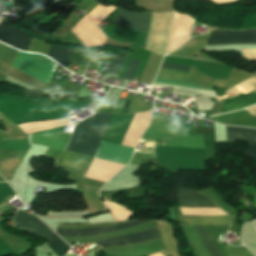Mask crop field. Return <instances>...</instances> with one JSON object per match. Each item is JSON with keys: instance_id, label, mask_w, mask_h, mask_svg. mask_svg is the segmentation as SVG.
I'll list each match as a JSON object with an SVG mask.
<instances>
[{"instance_id": "8a807250", "label": "crop field", "mask_w": 256, "mask_h": 256, "mask_svg": "<svg viewBox=\"0 0 256 256\" xmlns=\"http://www.w3.org/2000/svg\"><path fill=\"white\" fill-rule=\"evenodd\" d=\"M112 115L98 113L97 119L77 124L66 151L94 157Z\"/></svg>"}, {"instance_id": "ac0d7876", "label": "crop field", "mask_w": 256, "mask_h": 256, "mask_svg": "<svg viewBox=\"0 0 256 256\" xmlns=\"http://www.w3.org/2000/svg\"><path fill=\"white\" fill-rule=\"evenodd\" d=\"M151 222V221H149ZM147 223L145 221H132L121 225H115V226H106V227H96V228H86V229H74V230H62L57 229L56 233L60 236H83V235H96L101 233H106L110 231L115 230H121L125 229L127 227L139 225ZM159 233L157 230L130 236V237H124V238H117V239H110L105 240L101 242H97L101 247H110V246H120L125 244H131V243H140L147 240H152L159 238Z\"/></svg>"}, {"instance_id": "34b2d1b8", "label": "crop field", "mask_w": 256, "mask_h": 256, "mask_svg": "<svg viewBox=\"0 0 256 256\" xmlns=\"http://www.w3.org/2000/svg\"><path fill=\"white\" fill-rule=\"evenodd\" d=\"M177 201L180 204L191 205L193 207H215L212 202H210L204 196L198 194L193 189L179 188L177 193ZM174 216L186 223L192 225H218V224H229L228 216L221 217H193L185 215Z\"/></svg>"}, {"instance_id": "412701ff", "label": "crop field", "mask_w": 256, "mask_h": 256, "mask_svg": "<svg viewBox=\"0 0 256 256\" xmlns=\"http://www.w3.org/2000/svg\"><path fill=\"white\" fill-rule=\"evenodd\" d=\"M12 67L28 73L44 82H48L57 64L41 55L19 52Z\"/></svg>"}, {"instance_id": "f4fd0767", "label": "crop field", "mask_w": 256, "mask_h": 256, "mask_svg": "<svg viewBox=\"0 0 256 256\" xmlns=\"http://www.w3.org/2000/svg\"><path fill=\"white\" fill-rule=\"evenodd\" d=\"M256 43V30L213 31L207 45Z\"/></svg>"}, {"instance_id": "dd49c442", "label": "crop field", "mask_w": 256, "mask_h": 256, "mask_svg": "<svg viewBox=\"0 0 256 256\" xmlns=\"http://www.w3.org/2000/svg\"><path fill=\"white\" fill-rule=\"evenodd\" d=\"M33 37L4 22H0V41L20 50H28Z\"/></svg>"}, {"instance_id": "e52e79f7", "label": "crop field", "mask_w": 256, "mask_h": 256, "mask_svg": "<svg viewBox=\"0 0 256 256\" xmlns=\"http://www.w3.org/2000/svg\"><path fill=\"white\" fill-rule=\"evenodd\" d=\"M15 228L19 231L24 230L37 236L48 238L53 232L35 215L28 216L19 210L14 219Z\"/></svg>"}, {"instance_id": "d8731c3e", "label": "crop field", "mask_w": 256, "mask_h": 256, "mask_svg": "<svg viewBox=\"0 0 256 256\" xmlns=\"http://www.w3.org/2000/svg\"><path fill=\"white\" fill-rule=\"evenodd\" d=\"M134 149L102 141L95 157L126 164Z\"/></svg>"}, {"instance_id": "5a996713", "label": "crop field", "mask_w": 256, "mask_h": 256, "mask_svg": "<svg viewBox=\"0 0 256 256\" xmlns=\"http://www.w3.org/2000/svg\"><path fill=\"white\" fill-rule=\"evenodd\" d=\"M61 128L33 133L32 143L64 150L70 135L61 132Z\"/></svg>"}, {"instance_id": "3316defc", "label": "crop field", "mask_w": 256, "mask_h": 256, "mask_svg": "<svg viewBox=\"0 0 256 256\" xmlns=\"http://www.w3.org/2000/svg\"><path fill=\"white\" fill-rule=\"evenodd\" d=\"M195 127L180 124L173 143L162 142L156 145L204 147L203 135L194 133Z\"/></svg>"}, {"instance_id": "28ad6ade", "label": "crop field", "mask_w": 256, "mask_h": 256, "mask_svg": "<svg viewBox=\"0 0 256 256\" xmlns=\"http://www.w3.org/2000/svg\"><path fill=\"white\" fill-rule=\"evenodd\" d=\"M150 15L147 12L131 13L122 10L111 23L147 32Z\"/></svg>"}, {"instance_id": "d1516ede", "label": "crop field", "mask_w": 256, "mask_h": 256, "mask_svg": "<svg viewBox=\"0 0 256 256\" xmlns=\"http://www.w3.org/2000/svg\"><path fill=\"white\" fill-rule=\"evenodd\" d=\"M227 141L245 140L249 145L256 144V129L226 126Z\"/></svg>"}, {"instance_id": "22f410ed", "label": "crop field", "mask_w": 256, "mask_h": 256, "mask_svg": "<svg viewBox=\"0 0 256 256\" xmlns=\"http://www.w3.org/2000/svg\"><path fill=\"white\" fill-rule=\"evenodd\" d=\"M253 104H256V93L229 99L225 101V105L222 113H225L231 110L242 109Z\"/></svg>"}, {"instance_id": "cbeb9de0", "label": "crop field", "mask_w": 256, "mask_h": 256, "mask_svg": "<svg viewBox=\"0 0 256 256\" xmlns=\"http://www.w3.org/2000/svg\"><path fill=\"white\" fill-rule=\"evenodd\" d=\"M195 132L204 134L206 160L215 159L214 129L197 126Z\"/></svg>"}, {"instance_id": "5142ce71", "label": "crop field", "mask_w": 256, "mask_h": 256, "mask_svg": "<svg viewBox=\"0 0 256 256\" xmlns=\"http://www.w3.org/2000/svg\"><path fill=\"white\" fill-rule=\"evenodd\" d=\"M210 256H221L204 226H193Z\"/></svg>"}, {"instance_id": "d9b57169", "label": "crop field", "mask_w": 256, "mask_h": 256, "mask_svg": "<svg viewBox=\"0 0 256 256\" xmlns=\"http://www.w3.org/2000/svg\"><path fill=\"white\" fill-rule=\"evenodd\" d=\"M73 49L50 46L47 56L53 58L63 66H66Z\"/></svg>"}, {"instance_id": "733c2abd", "label": "crop field", "mask_w": 256, "mask_h": 256, "mask_svg": "<svg viewBox=\"0 0 256 256\" xmlns=\"http://www.w3.org/2000/svg\"><path fill=\"white\" fill-rule=\"evenodd\" d=\"M49 243L46 245L57 255L64 256V254L69 250V246L64 243L58 236L54 233L48 238Z\"/></svg>"}, {"instance_id": "4a817a6b", "label": "crop field", "mask_w": 256, "mask_h": 256, "mask_svg": "<svg viewBox=\"0 0 256 256\" xmlns=\"http://www.w3.org/2000/svg\"><path fill=\"white\" fill-rule=\"evenodd\" d=\"M187 73L185 71L161 68L157 77L186 81Z\"/></svg>"}, {"instance_id": "bc2a9ffb", "label": "crop field", "mask_w": 256, "mask_h": 256, "mask_svg": "<svg viewBox=\"0 0 256 256\" xmlns=\"http://www.w3.org/2000/svg\"><path fill=\"white\" fill-rule=\"evenodd\" d=\"M82 157L83 156L81 155L72 154L64 151L58 163L65 164V165L72 166L79 169Z\"/></svg>"}, {"instance_id": "214f88e0", "label": "crop field", "mask_w": 256, "mask_h": 256, "mask_svg": "<svg viewBox=\"0 0 256 256\" xmlns=\"http://www.w3.org/2000/svg\"><path fill=\"white\" fill-rule=\"evenodd\" d=\"M155 82L214 90L213 87L209 85H202V84H195V83H188V82L183 83V82H177V81H171V80H165V79H159V78H156Z\"/></svg>"}, {"instance_id": "92a150f3", "label": "crop field", "mask_w": 256, "mask_h": 256, "mask_svg": "<svg viewBox=\"0 0 256 256\" xmlns=\"http://www.w3.org/2000/svg\"><path fill=\"white\" fill-rule=\"evenodd\" d=\"M126 58L113 59L107 73L117 74Z\"/></svg>"}, {"instance_id": "dafd665d", "label": "crop field", "mask_w": 256, "mask_h": 256, "mask_svg": "<svg viewBox=\"0 0 256 256\" xmlns=\"http://www.w3.org/2000/svg\"><path fill=\"white\" fill-rule=\"evenodd\" d=\"M228 256H253L245 247L226 249Z\"/></svg>"}, {"instance_id": "00972430", "label": "crop field", "mask_w": 256, "mask_h": 256, "mask_svg": "<svg viewBox=\"0 0 256 256\" xmlns=\"http://www.w3.org/2000/svg\"><path fill=\"white\" fill-rule=\"evenodd\" d=\"M139 62L140 61H138V60H134V59L131 60L129 66H128V68H127V70H126V72H125V74L123 76L124 79L131 80V78H132V76H133V74H134V72H135Z\"/></svg>"}, {"instance_id": "a9b5d70f", "label": "crop field", "mask_w": 256, "mask_h": 256, "mask_svg": "<svg viewBox=\"0 0 256 256\" xmlns=\"http://www.w3.org/2000/svg\"><path fill=\"white\" fill-rule=\"evenodd\" d=\"M240 154L245 155V156H249L253 159H256V145L249 146L246 150H244Z\"/></svg>"}, {"instance_id": "4177f3b9", "label": "crop field", "mask_w": 256, "mask_h": 256, "mask_svg": "<svg viewBox=\"0 0 256 256\" xmlns=\"http://www.w3.org/2000/svg\"><path fill=\"white\" fill-rule=\"evenodd\" d=\"M161 67H164V68H171V69H178V70H185V71H188L190 67H187V66H180V65H173V64H166V63H163Z\"/></svg>"}, {"instance_id": "730fd06b", "label": "crop field", "mask_w": 256, "mask_h": 256, "mask_svg": "<svg viewBox=\"0 0 256 256\" xmlns=\"http://www.w3.org/2000/svg\"><path fill=\"white\" fill-rule=\"evenodd\" d=\"M146 160H147L146 158L136 156V155H134L133 159H132V161L139 162V163H142V164H144L146 162Z\"/></svg>"}, {"instance_id": "eef30255", "label": "crop field", "mask_w": 256, "mask_h": 256, "mask_svg": "<svg viewBox=\"0 0 256 256\" xmlns=\"http://www.w3.org/2000/svg\"><path fill=\"white\" fill-rule=\"evenodd\" d=\"M251 113L256 114V106L247 108Z\"/></svg>"}, {"instance_id": "ae1a2a85", "label": "crop field", "mask_w": 256, "mask_h": 256, "mask_svg": "<svg viewBox=\"0 0 256 256\" xmlns=\"http://www.w3.org/2000/svg\"><path fill=\"white\" fill-rule=\"evenodd\" d=\"M101 53H103V52H101ZM101 53H98V54H101ZM97 55V54H96Z\"/></svg>"}, {"instance_id": "d3111659", "label": "crop field", "mask_w": 256, "mask_h": 256, "mask_svg": "<svg viewBox=\"0 0 256 256\" xmlns=\"http://www.w3.org/2000/svg\"><path fill=\"white\" fill-rule=\"evenodd\" d=\"M2 166L0 165V168H1Z\"/></svg>"}]
</instances>
